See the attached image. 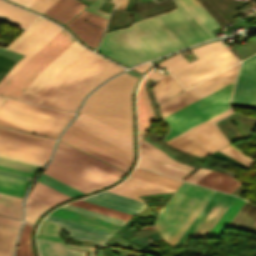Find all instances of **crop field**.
I'll return each instance as SVG.
<instances>
[{
    "label": "crop field",
    "instance_id": "obj_32",
    "mask_svg": "<svg viewBox=\"0 0 256 256\" xmlns=\"http://www.w3.org/2000/svg\"><path fill=\"white\" fill-rule=\"evenodd\" d=\"M245 201L241 200L240 198L236 197L211 232L208 234L207 237H219L240 207L243 205Z\"/></svg>",
    "mask_w": 256,
    "mask_h": 256
},
{
    "label": "crop field",
    "instance_id": "obj_5",
    "mask_svg": "<svg viewBox=\"0 0 256 256\" xmlns=\"http://www.w3.org/2000/svg\"><path fill=\"white\" fill-rule=\"evenodd\" d=\"M72 115L7 99L0 107V125L56 139Z\"/></svg>",
    "mask_w": 256,
    "mask_h": 256
},
{
    "label": "crop field",
    "instance_id": "obj_69",
    "mask_svg": "<svg viewBox=\"0 0 256 256\" xmlns=\"http://www.w3.org/2000/svg\"><path fill=\"white\" fill-rule=\"evenodd\" d=\"M154 228L153 226H145L142 229Z\"/></svg>",
    "mask_w": 256,
    "mask_h": 256
},
{
    "label": "crop field",
    "instance_id": "obj_55",
    "mask_svg": "<svg viewBox=\"0 0 256 256\" xmlns=\"http://www.w3.org/2000/svg\"><path fill=\"white\" fill-rule=\"evenodd\" d=\"M0 174L10 176V177H14V178H18V179H22V180H26V181H29V179H30L29 177H25V176L13 174V173L1 171V170H0Z\"/></svg>",
    "mask_w": 256,
    "mask_h": 256
},
{
    "label": "crop field",
    "instance_id": "obj_38",
    "mask_svg": "<svg viewBox=\"0 0 256 256\" xmlns=\"http://www.w3.org/2000/svg\"><path fill=\"white\" fill-rule=\"evenodd\" d=\"M60 230L61 229L54 222L43 220L39 227L37 238L63 243L59 236Z\"/></svg>",
    "mask_w": 256,
    "mask_h": 256
},
{
    "label": "crop field",
    "instance_id": "obj_13",
    "mask_svg": "<svg viewBox=\"0 0 256 256\" xmlns=\"http://www.w3.org/2000/svg\"><path fill=\"white\" fill-rule=\"evenodd\" d=\"M84 49L85 48L75 41L38 75L30 86L21 94L18 100L32 103L40 92L47 86V84L53 79V77Z\"/></svg>",
    "mask_w": 256,
    "mask_h": 256
},
{
    "label": "crop field",
    "instance_id": "obj_48",
    "mask_svg": "<svg viewBox=\"0 0 256 256\" xmlns=\"http://www.w3.org/2000/svg\"><path fill=\"white\" fill-rule=\"evenodd\" d=\"M55 1L57 0H35L28 8L39 11L41 13L45 12Z\"/></svg>",
    "mask_w": 256,
    "mask_h": 256
},
{
    "label": "crop field",
    "instance_id": "obj_58",
    "mask_svg": "<svg viewBox=\"0 0 256 256\" xmlns=\"http://www.w3.org/2000/svg\"><path fill=\"white\" fill-rule=\"evenodd\" d=\"M163 77H165V75H162V74H159V73H156V72H153V71H151L149 73V75L147 76V78H150V79H153V80H156V81L162 79Z\"/></svg>",
    "mask_w": 256,
    "mask_h": 256
},
{
    "label": "crop field",
    "instance_id": "obj_35",
    "mask_svg": "<svg viewBox=\"0 0 256 256\" xmlns=\"http://www.w3.org/2000/svg\"><path fill=\"white\" fill-rule=\"evenodd\" d=\"M27 182L0 175V193L22 198Z\"/></svg>",
    "mask_w": 256,
    "mask_h": 256
},
{
    "label": "crop field",
    "instance_id": "obj_65",
    "mask_svg": "<svg viewBox=\"0 0 256 256\" xmlns=\"http://www.w3.org/2000/svg\"><path fill=\"white\" fill-rule=\"evenodd\" d=\"M103 250H104L106 256H114V254L110 250H108L106 248H103Z\"/></svg>",
    "mask_w": 256,
    "mask_h": 256
},
{
    "label": "crop field",
    "instance_id": "obj_37",
    "mask_svg": "<svg viewBox=\"0 0 256 256\" xmlns=\"http://www.w3.org/2000/svg\"><path fill=\"white\" fill-rule=\"evenodd\" d=\"M221 194L222 192L216 191V193L206 204V206L203 208V210L200 212V214L197 216V218L194 220V222L191 224V226L188 228V230L185 232V234L182 236V238L179 240V242L176 244L174 248L184 245L187 239L191 236V234L194 232V230L197 228V226L200 224V222L203 220V218L206 216V214L209 212V210L221 196Z\"/></svg>",
    "mask_w": 256,
    "mask_h": 256
},
{
    "label": "crop field",
    "instance_id": "obj_52",
    "mask_svg": "<svg viewBox=\"0 0 256 256\" xmlns=\"http://www.w3.org/2000/svg\"><path fill=\"white\" fill-rule=\"evenodd\" d=\"M209 171H210L209 169L201 168L195 174H193L189 179H187V181L196 183L199 179H201Z\"/></svg>",
    "mask_w": 256,
    "mask_h": 256
},
{
    "label": "crop field",
    "instance_id": "obj_50",
    "mask_svg": "<svg viewBox=\"0 0 256 256\" xmlns=\"http://www.w3.org/2000/svg\"><path fill=\"white\" fill-rule=\"evenodd\" d=\"M103 2H104L103 0H96L89 7H87L86 10H88L96 15H100L105 18H108V16H109L108 14H105L98 10V8L102 5Z\"/></svg>",
    "mask_w": 256,
    "mask_h": 256
},
{
    "label": "crop field",
    "instance_id": "obj_57",
    "mask_svg": "<svg viewBox=\"0 0 256 256\" xmlns=\"http://www.w3.org/2000/svg\"><path fill=\"white\" fill-rule=\"evenodd\" d=\"M113 5H114V4L105 1L104 4L101 6L100 10L105 11V12H107V13L110 14Z\"/></svg>",
    "mask_w": 256,
    "mask_h": 256
},
{
    "label": "crop field",
    "instance_id": "obj_28",
    "mask_svg": "<svg viewBox=\"0 0 256 256\" xmlns=\"http://www.w3.org/2000/svg\"><path fill=\"white\" fill-rule=\"evenodd\" d=\"M183 6L195 17V19L207 30V32L215 37L212 30L218 29V23L209 16L196 0H179Z\"/></svg>",
    "mask_w": 256,
    "mask_h": 256
},
{
    "label": "crop field",
    "instance_id": "obj_6",
    "mask_svg": "<svg viewBox=\"0 0 256 256\" xmlns=\"http://www.w3.org/2000/svg\"><path fill=\"white\" fill-rule=\"evenodd\" d=\"M44 173L84 193L110 185L118 179L58 148Z\"/></svg>",
    "mask_w": 256,
    "mask_h": 256
},
{
    "label": "crop field",
    "instance_id": "obj_64",
    "mask_svg": "<svg viewBox=\"0 0 256 256\" xmlns=\"http://www.w3.org/2000/svg\"><path fill=\"white\" fill-rule=\"evenodd\" d=\"M174 7H176V5H174V6H172V7H169V8H166V9H164V10H161V11H158V12H155V13H152V14L144 15V16L147 17V16H150V15H153V14L161 13V12H164V11H166V10H168V9H171V8H174Z\"/></svg>",
    "mask_w": 256,
    "mask_h": 256
},
{
    "label": "crop field",
    "instance_id": "obj_34",
    "mask_svg": "<svg viewBox=\"0 0 256 256\" xmlns=\"http://www.w3.org/2000/svg\"><path fill=\"white\" fill-rule=\"evenodd\" d=\"M131 176H135V177H138L141 179H145V180L155 182V183L165 185V186L175 188V189H177V187L182 182L181 180H177V179L170 178L167 176L159 175V174L152 173V172L145 171V170L138 169V168H136L134 170V172L131 174Z\"/></svg>",
    "mask_w": 256,
    "mask_h": 256
},
{
    "label": "crop field",
    "instance_id": "obj_3",
    "mask_svg": "<svg viewBox=\"0 0 256 256\" xmlns=\"http://www.w3.org/2000/svg\"><path fill=\"white\" fill-rule=\"evenodd\" d=\"M136 78L124 73L88 97L81 112L132 137L131 93Z\"/></svg>",
    "mask_w": 256,
    "mask_h": 256
},
{
    "label": "crop field",
    "instance_id": "obj_36",
    "mask_svg": "<svg viewBox=\"0 0 256 256\" xmlns=\"http://www.w3.org/2000/svg\"><path fill=\"white\" fill-rule=\"evenodd\" d=\"M50 206L28 196L25 202V221L34 225L37 218Z\"/></svg>",
    "mask_w": 256,
    "mask_h": 256
},
{
    "label": "crop field",
    "instance_id": "obj_71",
    "mask_svg": "<svg viewBox=\"0 0 256 256\" xmlns=\"http://www.w3.org/2000/svg\"><path fill=\"white\" fill-rule=\"evenodd\" d=\"M156 1H158V0H156Z\"/></svg>",
    "mask_w": 256,
    "mask_h": 256
},
{
    "label": "crop field",
    "instance_id": "obj_45",
    "mask_svg": "<svg viewBox=\"0 0 256 256\" xmlns=\"http://www.w3.org/2000/svg\"><path fill=\"white\" fill-rule=\"evenodd\" d=\"M62 208L73 210V211H76V212H79V213H83V214H86V215H90V216H93V217H97V218L104 219V220L114 222V223H117V224H121V225H123L126 222V221H123V220H119V219H116V218H113V217H109V216H106V215H103V214H100V213H96V212H93V211H90V210H87V209H83V208H80V207H77V206H73V205H70V204L64 205V206H62Z\"/></svg>",
    "mask_w": 256,
    "mask_h": 256
},
{
    "label": "crop field",
    "instance_id": "obj_70",
    "mask_svg": "<svg viewBox=\"0 0 256 256\" xmlns=\"http://www.w3.org/2000/svg\"><path fill=\"white\" fill-rule=\"evenodd\" d=\"M4 99H5V98L0 97V104L2 103V101H3Z\"/></svg>",
    "mask_w": 256,
    "mask_h": 256
},
{
    "label": "crop field",
    "instance_id": "obj_40",
    "mask_svg": "<svg viewBox=\"0 0 256 256\" xmlns=\"http://www.w3.org/2000/svg\"><path fill=\"white\" fill-rule=\"evenodd\" d=\"M18 233L0 229V256H11Z\"/></svg>",
    "mask_w": 256,
    "mask_h": 256
},
{
    "label": "crop field",
    "instance_id": "obj_23",
    "mask_svg": "<svg viewBox=\"0 0 256 256\" xmlns=\"http://www.w3.org/2000/svg\"><path fill=\"white\" fill-rule=\"evenodd\" d=\"M86 7L78 0H58L44 14L66 23Z\"/></svg>",
    "mask_w": 256,
    "mask_h": 256
},
{
    "label": "crop field",
    "instance_id": "obj_4",
    "mask_svg": "<svg viewBox=\"0 0 256 256\" xmlns=\"http://www.w3.org/2000/svg\"><path fill=\"white\" fill-rule=\"evenodd\" d=\"M214 192L183 182L162 209L155 224L166 242L175 246Z\"/></svg>",
    "mask_w": 256,
    "mask_h": 256
},
{
    "label": "crop field",
    "instance_id": "obj_14",
    "mask_svg": "<svg viewBox=\"0 0 256 256\" xmlns=\"http://www.w3.org/2000/svg\"><path fill=\"white\" fill-rule=\"evenodd\" d=\"M231 103L256 107V55L243 61Z\"/></svg>",
    "mask_w": 256,
    "mask_h": 256
},
{
    "label": "crop field",
    "instance_id": "obj_1",
    "mask_svg": "<svg viewBox=\"0 0 256 256\" xmlns=\"http://www.w3.org/2000/svg\"><path fill=\"white\" fill-rule=\"evenodd\" d=\"M179 7L104 35L99 51L132 67L211 38L178 0Z\"/></svg>",
    "mask_w": 256,
    "mask_h": 256
},
{
    "label": "crop field",
    "instance_id": "obj_63",
    "mask_svg": "<svg viewBox=\"0 0 256 256\" xmlns=\"http://www.w3.org/2000/svg\"><path fill=\"white\" fill-rule=\"evenodd\" d=\"M1 170H5V171H9V172H13V173H17V174H21V175H25V176H29L32 177L31 174H27V173H23V172H19V171H15V170H10V169H6V168H2L0 167Z\"/></svg>",
    "mask_w": 256,
    "mask_h": 256
},
{
    "label": "crop field",
    "instance_id": "obj_56",
    "mask_svg": "<svg viewBox=\"0 0 256 256\" xmlns=\"http://www.w3.org/2000/svg\"><path fill=\"white\" fill-rule=\"evenodd\" d=\"M0 222L20 227L21 222L0 217Z\"/></svg>",
    "mask_w": 256,
    "mask_h": 256
},
{
    "label": "crop field",
    "instance_id": "obj_46",
    "mask_svg": "<svg viewBox=\"0 0 256 256\" xmlns=\"http://www.w3.org/2000/svg\"><path fill=\"white\" fill-rule=\"evenodd\" d=\"M233 158H235L236 160L248 165V166H252L256 161L244 156L239 150H237L235 147H233L232 145H229L221 150H219Z\"/></svg>",
    "mask_w": 256,
    "mask_h": 256
},
{
    "label": "crop field",
    "instance_id": "obj_8",
    "mask_svg": "<svg viewBox=\"0 0 256 256\" xmlns=\"http://www.w3.org/2000/svg\"><path fill=\"white\" fill-rule=\"evenodd\" d=\"M191 51L199 59L171 72L185 88L239 62L221 41L209 42Z\"/></svg>",
    "mask_w": 256,
    "mask_h": 256
},
{
    "label": "crop field",
    "instance_id": "obj_59",
    "mask_svg": "<svg viewBox=\"0 0 256 256\" xmlns=\"http://www.w3.org/2000/svg\"><path fill=\"white\" fill-rule=\"evenodd\" d=\"M0 228L18 232L20 228L0 223Z\"/></svg>",
    "mask_w": 256,
    "mask_h": 256
},
{
    "label": "crop field",
    "instance_id": "obj_49",
    "mask_svg": "<svg viewBox=\"0 0 256 256\" xmlns=\"http://www.w3.org/2000/svg\"><path fill=\"white\" fill-rule=\"evenodd\" d=\"M44 19L39 18L34 24H32L28 29H26L19 37H17L9 47V49H13L19 42H21L36 26H38Z\"/></svg>",
    "mask_w": 256,
    "mask_h": 256
},
{
    "label": "crop field",
    "instance_id": "obj_18",
    "mask_svg": "<svg viewBox=\"0 0 256 256\" xmlns=\"http://www.w3.org/2000/svg\"><path fill=\"white\" fill-rule=\"evenodd\" d=\"M46 219L56 222V224L61 226L65 232H67L69 235L72 236V238L75 239L89 240L103 244L108 238L113 235V233H109L50 215H48Z\"/></svg>",
    "mask_w": 256,
    "mask_h": 256
},
{
    "label": "crop field",
    "instance_id": "obj_25",
    "mask_svg": "<svg viewBox=\"0 0 256 256\" xmlns=\"http://www.w3.org/2000/svg\"><path fill=\"white\" fill-rule=\"evenodd\" d=\"M3 3V1H0L1 5ZM37 17L38 16L14 7L6 2L0 6V19L23 29H25Z\"/></svg>",
    "mask_w": 256,
    "mask_h": 256
},
{
    "label": "crop field",
    "instance_id": "obj_33",
    "mask_svg": "<svg viewBox=\"0 0 256 256\" xmlns=\"http://www.w3.org/2000/svg\"><path fill=\"white\" fill-rule=\"evenodd\" d=\"M139 145H140V155L141 156L151 158V159H154V160H157L160 162L180 166V167H183V168H186L189 170L192 169V167L185 166V165L179 164V163L171 160L166 154L157 150L152 145H150L149 143L145 142L144 140H142L140 138H139Z\"/></svg>",
    "mask_w": 256,
    "mask_h": 256
},
{
    "label": "crop field",
    "instance_id": "obj_11",
    "mask_svg": "<svg viewBox=\"0 0 256 256\" xmlns=\"http://www.w3.org/2000/svg\"><path fill=\"white\" fill-rule=\"evenodd\" d=\"M53 140L0 127V152L45 163L50 157Z\"/></svg>",
    "mask_w": 256,
    "mask_h": 256
},
{
    "label": "crop field",
    "instance_id": "obj_47",
    "mask_svg": "<svg viewBox=\"0 0 256 256\" xmlns=\"http://www.w3.org/2000/svg\"><path fill=\"white\" fill-rule=\"evenodd\" d=\"M189 63L186 59H184L180 54H177L165 61H163L162 63H160L159 67H163V68H166L170 71L184 65V64H187Z\"/></svg>",
    "mask_w": 256,
    "mask_h": 256
},
{
    "label": "crop field",
    "instance_id": "obj_42",
    "mask_svg": "<svg viewBox=\"0 0 256 256\" xmlns=\"http://www.w3.org/2000/svg\"><path fill=\"white\" fill-rule=\"evenodd\" d=\"M31 229V226L24 224L23 232L18 244L19 247L16 249V256H33L30 243Z\"/></svg>",
    "mask_w": 256,
    "mask_h": 256
},
{
    "label": "crop field",
    "instance_id": "obj_2",
    "mask_svg": "<svg viewBox=\"0 0 256 256\" xmlns=\"http://www.w3.org/2000/svg\"><path fill=\"white\" fill-rule=\"evenodd\" d=\"M91 52L85 49L80 53L54 77L33 103L75 113L88 92L124 70Z\"/></svg>",
    "mask_w": 256,
    "mask_h": 256
},
{
    "label": "crop field",
    "instance_id": "obj_17",
    "mask_svg": "<svg viewBox=\"0 0 256 256\" xmlns=\"http://www.w3.org/2000/svg\"><path fill=\"white\" fill-rule=\"evenodd\" d=\"M174 191L175 189L129 176L119 186L110 189L107 192L142 201L138 196L154 193H170Z\"/></svg>",
    "mask_w": 256,
    "mask_h": 256
},
{
    "label": "crop field",
    "instance_id": "obj_27",
    "mask_svg": "<svg viewBox=\"0 0 256 256\" xmlns=\"http://www.w3.org/2000/svg\"><path fill=\"white\" fill-rule=\"evenodd\" d=\"M146 80L147 78L143 80L138 93V123H139V137L141 138L143 137L150 121L155 120L152 107L150 105V102L145 90Z\"/></svg>",
    "mask_w": 256,
    "mask_h": 256
},
{
    "label": "crop field",
    "instance_id": "obj_12",
    "mask_svg": "<svg viewBox=\"0 0 256 256\" xmlns=\"http://www.w3.org/2000/svg\"><path fill=\"white\" fill-rule=\"evenodd\" d=\"M240 63V62H239ZM238 64V63H237ZM236 65V64H235ZM239 65H236L202 83L199 85L159 104L162 117H165L188 104L210 94L211 92L235 81Z\"/></svg>",
    "mask_w": 256,
    "mask_h": 256
},
{
    "label": "crop field",
    "instance_id": "obj_39",
    "mask_svg": "<svg viewBox=\"0 0 256 256\" xmlns=\"http://www.w3.org/2000/svg\"><path fill=\"white\" fill-rule=\"evenodd\" d=\"M71 204L77 205V206H80V207H83V208H87V209H90V210H93V211H96V212H100V213H103V214H106V215H109V216H113V217H116V218H119V219H123V220H126V221H128V219L130 217L131 218L134 217V215L123 213V212H120V211H117V210H113V209H110V208H106V207L99 206V205L89 203V202H86V201H82V200L76 201V202L71 203Z\"/></svg>",
    "mask_w": 256,
    "mask_h": 256
},
{
    "label": "crop field",
    "instance_id": "obj_20",
    "mask_svg": "<svg viewBox=\"0 0 256 256\" xmlns=\"http://www.w3.org/2000/svg\"><path fill=\"white\" fill-rule=\"evenodd\" d=\"M235 196L223 193L191 237H206Z\"/></svg>",
    "mask_w": 256,
    "mask_h": 256
},
{
    "label": "crop field",
    "instance_id": "obj_66",
    "mask_svg": "<svg viewBox=\"0 0 256 256\" xmlns=\"http://www.w3.org/2000/svg\"><path fill=\"white\" fill-rule=\"evenodd\" d=\"M128 2H130V3H132V4H131V6H130V4L128 3V5H127V7H126L125 10H128L129 6H130L129 10H131V8H132V6H133L135 0H128Z\"/></svg>",
    "mask_w": 256,
    "mask_h": 256
},
{
    "label": "crop field",
    "instance_id": "obj_9",
    "mask_svg": "<svg viewBox=\"0 0 256 256\" xmlns=\"http://www.w3.org/2000/svg\"><path fill=\"white\" fill-rule=\"evenodd\" d=\"M74 41L62 29L11 77L0 95L17 99L37 75Z\"/></svg>",
    "mask_w": 256,
    "mask_h": 256
},
{
    "label": "crop field",
    "instance_id": "obj_19",
    "mask_svg": "<svg viewBox=\"0 0 256 256\" xmlns=\"http://www.w3.org/2000/svg\"><path fill=\"white\" fill-rule=\"evenodd\" d=\"M82 200L93 202L134 215L138 214L140 211L147 207L143 202H139L107 192L91 196Z\"/></svg>",
    "mask_w": 256,
    "mask_h": 256
},
{
    "label": "crop field",
    "instance_id": "obj_30",
    "mask_svg": "<svg viewBox=\"0 0 256 256\" xmlns=\"http://www.w3.org/2000/svg\"><path fill=\"white\" fill-rule=\"evenodd\" d=\"M30 196L53 206L65 199L71 198L57 190H54L40 182L37 181L36 185L33 187Z\"/></svg>",
    "mask_w": 256,
    "mask_h": 256
},
{
    "label": "crop field",
    "instance_id": "obj_60",
    "mask_svg": "<svg viewBox=\"0 0 256 256\" xmlns=\"http://www.w3.org/2000/svg\"><path fill=\"white\" fill-rule=\"evenodd\" d=\"M149 67H150V65L148 63H144L142 65H139V66L135 67L134 69L143 73Z\"/></svg>",
    "mask_w": 256,
    "mask_h": 256
},
{
    "label": "crop field",
    "instance_id": "obj_54",
    "mask_svg": "<svg viewBox=\"0 0 256 256\" xmlns=\"http://www.w3.org/2000/svg\"><path fill=\"white\" fill-rule=\"evenodd\" d=\"M0 156H2V157H7V158H11V159H15V160H19V161H23V162H27V163H31V164H35V165H39V166H42V165H43L42 163H38V162H34V161L22 159V158H17V157H13V156L1 154V153H0Z\"/></svg>",
    "mask_w": 256,
    "mask_h": 256
},
{
    "label": "crop field",
    "instance_id": "obj_53",
    "mask_svg": "<svg viewBox=\"0 0 256 256\" xmlns=\"http://www.w3.org/2000/svg\"><path fill=\"white\" fill-rule=\"evenodd\" d=\"M159 144H161V145L164 146L165 148L169 149L170 151H172V152H174V153H177L178 155H182V156H184V157H189V158H194V159H198V160L204 161V159H200V158H197V157H193V156H190V155H186V154H183V153L176 152V151L170 149L169 147L165 146V145L162 144L161 142H160ZM184 157L179 156L178 158L181 159V160H184V161L189 160V161H192V162H196V163H200V164H201V162L193 161V160H190V159H187V158H184ZM186 162H188V161H186ZM192 162H189V163H192ZM192 164H195V163H192ZM195 165H198V164H195ZM198 166H200V165H198Z\"/></svg>",
    "mask_w": 256,
    "mask_h": 256
},
{
    "label": "crop field",
    "instance_id": "obj_15",
    "mask_svg": "<svg viewBox=\"0 0 256 256\" xmlns=\"http://www.w3.org/2000/svg\"><path fill=\"white\" fill-rule=\"evenodd\" d=\"M73 124L133 154L131 137L82 113L79 114Z\"/></svg>",
    "mask_w": 256,
    "mask_h": 256
},
{
    "label": "crop field",
    "instance_id": "obj_43",
    "mask_svg": "<svg viewBox=\"0 0 256 256\" xmlns=\"http://www.w3.org/2000/svg\"><path fill=\"white\" fill-rule=\"evenodd\" d=\"M0 166L35 174L39 166L0 157Z\"/></svg>",
    "mask_w": 256,
    "mask_h": 256
},
{
    "label": "crop field",
    "instance_id": "obj_29",
    "mask_svg": "<svg viewBox=\"0 0 256 256\" xmlns=\"http://www.w3.org/2000/svg\"><path fill=\"white\" fill-rule=\"evenodd\" d=\"M182 90L184 88L170 74L152 88L157 103L174 96Z\"/></svg>",
    "mask_w": 256,
    "mask_h": 256
},
{
    "label": "crop field",
    "instance_id": "obj_51",
    "mask_svg": "<svg viewBox=\"0 0 256 256\" xmlns=\"http://www.w3.org/2000/svg\"><path fill=\"white\" fill-rule=\"evenodd\" d=\"M14 63H15V61L10 60V59H8V58H5V57H3V56H0V65H1V66H4V67L10 69L11 66H12ZM1 66H0V72H2V73H1V75H0V78L8 71V69H6V68H4V67H1Z\"/></svg>",
    "mask_w": 256,
    "mask_h": 256
},
{
    "label": "crop field",
    "instance_id": "obj_44",
    "mask_svg": "<svg viewBox=\"0 0 256 256\" xmlns=\"http://www.w3.org/2000/svg\"><path fill=\"white\" fill-rule=\"evenodd\" d=\"M116 11H117V9L113 10V13H112L110 21L108 23L107 29H111V27L114 23ZM130 15H131V13H129V12L118 10L117 15H116V19H115V23H114V26H113L112 29H117V28H120V27L127 26L129 24Z\"/></svg>",
    "mask_w": 256,
    "mask_h": 256
},
{
    "label": "crop field",
    "instance_id": "obj_41",
    "mask_svg": "<svg viewBox=\"0 0 256 256\" xmlns=\"http://www.w3.org/2000/svg\"><path fill=\"white\" fill-rule=\"evenodd\" d=\"M38 181H40V182H42V183H44V184H46V185H48L52 188H55V189L65 193V194H67L71 197L84 194V193H82V192H80V191H78V190H76V189H74V188H72V187H70V186H68V185H66V184H64V183L46 175V174H44V173L40 176Z\"/></svg>",
    "mask_w": 256,
    "mask_h": 256
},
{
    "label": "crop field",
    "instance_id": "obj_24",
    "mask_svg": "<svg viewBox=\"0 0 256 256\" xmlns=\"http://www.w3.org/2000/svg\"><path fill=\"white\" fill-rule=\"evenodd\" d=\"M39 256H85L86 252H79L67 248L90 250L88 256L93 255L94 248H80L67 244L54 243L37 239Z\"/></svg>",
    "mask_w": 256,
    "mask_h": 256
},
{
    "label": "crop field",
    "instance_id": "obj_16",
    "mask_svg": "<svg viewBox=\"0 0 256 256\" xmlns=\"http://www.w3.org/2000/svg\"><path fill=\"white\" fill-rule=\"evenodd\" d=\"M85 19L99 27L105 28L107 20L96 16L86 10L80 13L75 19H73L67 26L85 43L95 47L100 36L102 35V29L83 21ZM90 46V47H91ZM96 48V47H95Z\"/></svg>",
    "mask_w": 256,
    "mask_h": 256
},
{
    "label": "crop field",
    "instance_id": "obj_26",
    "mask_svg": "<svg viewBox=\"0 0 256 256\" xmlns=\"http://www.w3.org/2000/svg\"><path fill=\"white\" fill-rule=\"evenodd\" d=\"M197 184L228 193L232 192L241 185L238 180L214 170H211L208 174H206L200 181L197 182Z\"/></svg>",
    "mask_w": 256,
    "mask_h": 256
},
{
    "label": "crop field",
    "instance_id": "obj_67",
    "mask_svg": "<svg viewBox=\"0 0 256 256\" xmlns=\"http://www.w3.org/2000/svg\"><path fill=\"white\" fill-rule=\"evenodd\" d=\"M81 1L89 6L94 0H81Z\"/></svg>",
    "mask_w": 256,
    "mask_h": 256
},
{
    "label": "crop field",
    "instance_id": "obj_68",
    "mask_svg": "<svg viewBox=\"0 0 256 256\" xmlns=\"http://www.w3.org/2000/svg\"><path fill=\"white\" fill-rule=\"evenodd\" d=\"M154 0H138L139 3L153 2Z\"/></svg>",
    "mask_w": 256,
    "mask_h": 256
},
{
    "label": "crop field",
    "instance_id": "obj_31",
    "mask_svg": "<svg viewBox=\"0 0 256 256\" xmlns=\"http://www.w3.org/2000/svg\"><path fill=\"white\" fill-rule=\"evenodd\" d=\"M20 198L0 194V215L22 220Z\"/></svg>",
    "mask_w": 256,
    "mask_h": 256
},
{
    "label": "crop field",
    "instance_id": "obj_21",
    "mask_svg": "<svg viewBox=\"0 0 256 256\" xmlns=\"http://www.w3.org/2000/svg\"><path fill=\"white\" fill-rule=\"evenodd\" d=\"M50 215H54L57 217H61L64 219H68L71 221H75L78 223H82L88 226H92V227L99 228V229L106 230L113 233H115L121 227V225L110 223L104 220H100L97 218H93L90 216H86V215L79 214V213L62 209V208H59L53 211Z\"/></svg>",
    "mask_w": 256,
    "mask_h": 256
},
{
    "label": "crop field",
    "instance_id": "obj_7",
    "mask_svg": "<svg viewBox=\"0 0 256 256\" xmlns=\"http://www.w3.org/2000/svg\"><path fill=\"white\" fill-rule=\"evenodd\" d=\"M234 82L163 118L170 131L165 142L230 109Z\"/></svg>",
    "mask_w": 256,
    "mask_h": 256
},
{
    "label": "crop field",
    "instance_id": "obj_22",
    "mask_svg": "<svg viewBox=\"0 0 256 256\" xmlns=\"http://www.w3.org/2000/svg\"><path fill=\"white\" fill-rule=\"evenodd\" d=\"M66 132H68L86 142H89L107 152H110V153L130 162V163L132 161V156H133L132 154H130V153H128V152H126V151H124V150L104 141V140H101V139H99V138H97V137L71 125V124L67 128Z\"/></svg>",
    "mask_w": 256,
    "mask_h": 256
},
{
    "label": "crop field",
    "instance_id": "obj_10",
    "mask_svg": "<svg viewBox=\"0 0 256 256\" xmlns=\"http://www.w3.org/2000/svg\"><path fill=\"white\" fill-rule=\"evenodd\" d=\"M232 112V109L225 113L222 112L223 114L197 125L198 127L195 126L196 128L193 127L194 129L191 128L192 130L166 143L191 154L206 156L229 144L213 122Z\"/></svg>",
    "mask_w": 256,
    "mask_h": 256
},
{
    "label": "crop field",
    "instance_id": "obj_62",
    "mask_svg": "<svg viewBox=\"0 0 256 256\" xmlns=\"http://www.w3.org/2000/svg\"><path fill=\"white\" fill-rule=\"evenodd\" d=\"M25 7H27L29 4H31L34 0H13Z\"/></svg>",
    "mask_w": 256,
    "mask_h": 256
},
{
    "label": "crop field",
    "instance_id": "obj_61",
    "mask_svg": "<svg viewBox=\"0 0 256 256\" xmlns=\"http://www.w3.org/2000/svg\"><path fill=\"white\" fill-rule=\"evenodd\" d=\"M112 1H115V2H116L115 8H119L120 5H121V3H122V6H121L122 9L125 8L126 3H127V0H112Z\"/></svg>",
    "mask_w": 256,
    "mask_h": 256
}]
</instances>
